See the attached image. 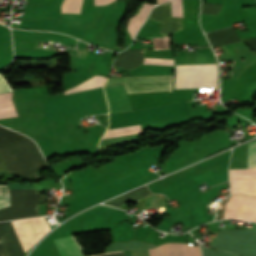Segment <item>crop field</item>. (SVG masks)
Returning <instances> with one entry per match:
<instances>
[{"label":"crop field","instance_id":"obj_14","mask_svg":"<svg viewBox=\"0 0 256 256\" xmlns=\"http://www.w3.org/2000/svg\"><path fill=\"white\" fill-rule=\"evenodd\" d=\"M256 167V141L248 143L247 168Z\"/></svg>","mask_w":256,"mask_h":256},{"label":"crop field","instance_id":"obj_7","mask_svg":"<svg viewBox=\"0 0 256 256\" xmlns=\"http://www.w3.org/2000/svg\"><path fill=\"white\" fill-rule=\"evenodd\" d=\"M149 17L162 22L160 33L163 37L182 29V18L171 17L170 1L154 7Z\"/></svg>","mask_w":256,"mask_h":256},{"label":"crop field","instance_id":"obj_20","mask_svg":"<svg viewBox=\"0 0 256 256\" xmlns=\"http://www.w3.org/2000/svg\"><path fill=\"white\" fill-rule=\"evenodd\" d=\"M4 170H6V168H5L3 162H2V160L0 158V171H4Z\"/></svg>","mask_w":256,"mask_h":256},{"label":"crop field","instance_id":"obj_19","mask_svg":"<svg viewBox=\"0 0 256 256\" xmlns=\"http://www.w3.org/2000/svg\"><path fill=\"white\" fill-rule=\"evenodd\" d=\"M113 1H115V0H94V5H106Z\"/></svg>","mask_w":256,"mask_h":256},{"label":"crop field","instance_id":"obj_2","mask_svg":"<svg viewBox=\"0 0 256 256\" xmlns=\"http://www.w3.org/2000/svg\"><path fill=\"white\" fill-rule=\"evenodd\" d=\"M217 64L176 65L174 89L217 87Z\"/></svg>","mask_w":256,"mask_h":256},{"label":"crop field","instance_id":"obj_16","mask_svg":"<svg viewBox=\"0 0 256 256\" xmlns=\"http://www.w3.org/2000/svg\"><path fill=\"white\" fill-rule=\"evenodd\" d=\"M84 21L85 20H83V19H77V18L63 16L60 24L82 28Z\"/></svg>","mask_w":256,"mask_h":256},{"label":"crop field","instance_id":"obj_17","mask_svg":"<svg viewBox=\"0 0 256 256\" xmlns=\"http://www.w3.org/2000/svg\"><path fill=\"white\" fill-rule=\"evenodd\" d=\"M172 16L182 17L181 0L171 1Z\"/></svg>","mask_w":256,"mask_h":256},{"label":"crop field","instance_id":"obj_9","mask_svg":"<svg viewBox=\"0 0 256 256\" xmlns=\"http://www.w3.org/2000/svg\"><path fill=\"white\" fill-rule=\"evenodd\" d=\"M61 256H83L74 236L53 239Z\"/></svg>","mask_w":256,"mask_h":256},{"label":"crop field","instance_id":"obj_8","mask_svg":"<svg viewBox=\"0 0 256 256\" xmlns=\"http://www.w3.org/2000/svg\"><path fill=\"white\" fill-rule=\"evenodd\" d=\"M110 113L132 110L122 85L105 88Z\"/></svg>","mask_w":256,"mask_h":256},{"label":"crop field","instance_id":"obj_13","mask_svg":"<svg viewBox=\"0 0 256 256\" xmlns=\"http://www.w3.org/2000/svg\"><path fill=\"white\" fill-rule=\"evenodd\" d=\"M82 0H64L61 5L62 13H80Z\"/></svg>","mask_w":256,"mask_h":256},{"label":"crop field","instance_id":"obj_15","mask_svg":"<svg viewBox=\"0 0 256 256\" xmlns=\"http://www.w3.org/2000/svg\"><path fill=\"white\" fill-rule=\"evenodd\" d=\"M10 195L7 186L0 185V208L9 205Z\"/></svg>","mask_w":256,"mask_h":256},{"label":"crop field","instance_id":"obj_5","mask_svg":"<svg viewBox=\"0 0 256 256\" xmlns=\"http://www.w3.org/2000/svg\"><path fill=\"white\" fill-rule=\"evenodd\" d=\"M238 218L256 222V197L232 195L219 204L218 219Z\"/></svg>","mask_w":256,"mask_h":256},{"label":"crop field","instance_id":"obj_1","mask_svg":"<svg viewBox=\"0 0 256 256\" xmlns=\"http://www.w3.org/2000/svg\"><path fill=\"white\" fill-rule=\"evenodd\" d=\"M0 155L9 173L26 177H38L35 171L46 165L33 141L1 126Z\"/></svg>","mask_w":256,"mask_h":256},{"label":"crop field","instance_id":"obj_3","mask_svg":"<svg viewBox=\"0 0 256 256\" xmlns=\"http://www.w3.org/2000/svg\"><path fill=\"white\" fill-rule=\"evenodd\" d=\"M11 206L0 210V221L39 216L36 189L9 190Z\"/></svg>","mask_w":256,"mask_h":256},{"label":"crop field","instance_id":"obj_11","mask_svg":"<svg viewBox=\"0 0 256 256\" xmlns=\"http://www.w3.org/2000/svg\"><path fill=\"white\" fill-rule=\"evenodd\" d=\"M16 115L12 92L0 94V119Z\"/></svg>","mask_w":256,"mask_h":256},{"label":"crop field","instance_id":"obj_12","mask_svg":"<svg viewBox=\"0 0 256 256\" xmlns=\"http://www.w3.org/2000/svg\"><path fill=\"white\" fill-rule=\"evenodd\" d=\"M141 128L106 133L101 141L140 135Z\"/></svg>","mask_w":256,"mask_h":256},{"label":"crop field","instance_id":"obj_4","mask_svg":"<svg viewBox=\"0 0 256 256\" xmlns=\"http://www.w3.org/2000/svg\"><path fill=\"white\" fill-rule=\"evenodd\" d=\"M173 75L163 76H143L108 79L107 85L123 83L128 94L153 92V91H172Z\"/></svg>","mask_w":256,"mask_h":256},{"label":"crop field","instance_id":"obj_18","mask_svg":"<svg viewBox=\"0 0 256 256\" xmlns=\"http://www.w3.org/2000/svg\"><path fill=\"white\" fill-rule=\"evenodd\" d=\"M12 91L10 86L5 82V80L0 76V93Z\"/></svg>","mask_w":256,"mask_h":256},{"label":"crop field","instance_id":"obj_21","mask_svg":"<svg viewBox=\"0 0 256 256\" xmlns=\"http://www.w3.org/2000/svg\"><path fill=\"white\" fill-rule=\"evenodd\" d=\"M165 1H167V0H157V4H161V3L165 2Z\"/></svg>","mask_w":256,"mask_h":256},{"label":"crop field","instance_id":"obj_10","mask_svg":"<svg viewBox=\"0 0 256 256\" xmlns=\"http://www.w3.org/2000/svg\"><path fill=\"white\" fill-rule=\"evenodd\" d=\"M153 8V5L143 3L141 9L138 11L136 16H133L128 24V31L133 38L134 34L136 33L139 26L142 24L143 21H145L150 9Z\"/></svg>","mask_w":256,"mask_h":256},{"label":"crop field","instance_id":"obj_6","mask_svg":"<svg viewBox=\"0 0 256 256\" xmlns=\"http://www.w3.org/2000/svg\"><path fill=\"white\" fill-rule=\"evenodd\" d=\"M231 194H245L256 196V168L229 169Z\"/></svg>","mask_w":256,"mask_h":256}]
</instances>
